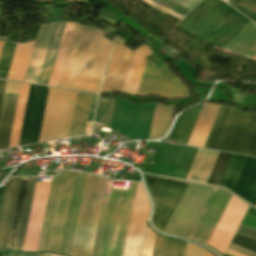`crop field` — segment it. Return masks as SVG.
Returning <instances> with one entry per match:
<instances>
[{
  "mask_svg": "<svg viewBox=\"0 0 256 256\" xmlns=\"http://www.w3.org/2000/svg\"><path fill=\"white\" fill-rule=\"evenodd\" d=\"M175 105H155L154 116L149 139H159L167 131Z\"/></svg>",
  "mask_w": 256,
  "mask_h": 256,
  "instance_id": "ae1a2a85",
  "label": "crop field"
},
{
  "mask_svg": "<svg viewBox=\"0 0 256 256\" xmlns=\"http://www.w3.org/2000/svg\"><path fill=\"white\" fill-rule=\"evenodd\" d=\"M3 179V172H0V181Z\"/></svg>",
  "mask_w": 256,
  "mask_h": 256,
  "instance_id": "0fb4a251",
  "label": "crop field"
},
{
  "mask_svg": "<svg viewBox=\"0 0 256 256\" xmlns=\"http://www.w3.org/2000/svg\"><path fill=\"white\" fill-rule=\"evenodd\" d=\"M75 175L61 171L52 180L38 251H61Z\"/></svg>",
  "mask_w": 256,
  "mask_h": 256,
  "instance_id": "412701ff",
  "label": "crop field"
},
{
  "mask_svg": "<svg viewBox=\"0 0 256 256\" xmlns=\"http://www.w3.org/2000/svg\"><path fill=\"white\" fill-rule=\"evenodd\" d=\"M36 178H29L14 250H22Z\"/></svg>",
  "mask_w": 256,
  "mask_h": 256,
  "instance_id": "750c4746",
  "label": "crop field"
},
{
  "mask_svg": "<svg viewBox=\"0 0 256 256\" xmlns=\"http://www.w3.org/2000/svg\"><path fill=\"white\" fill-rule=\"evenodd\" d=\"M132 52L118 44L114 45L100 93L121 92Z\"/></svg>",
  "mask_w": 256,
  "mask_h": 256,
  "instance_id": "d9b57169",
  "label": "crop field"
},
{
  "mask_svg": "<svg viewBox=\"0 0 256 256\" xmlns=\"http://www.w3.org/2000/svg\"><path fill=\"white\" fill-rule=\"evenodd\" d=\"M2 190H3V187L0 188V200H1Z\"/></svg>",
  "mask_w": 256,
  "mask_h": 256,
  "instance_id": "1d79db26",
  "label": "crop field"
},
{
  "mask_svg": "<svg viewBox=\"0 0 256 256\" xmlns=\"http://www.w3.org/2000/svg\"><path fill=\"white\" fill-rule=\"evenodd\" d=\"M17 44L3 42L0 52V78L6 79Z\"/></svg>",
  "mask_w": 256,
  "mask_h": 256,
  "instance_id": "028f5c9d",
  "label": "crop field"
},
{
  "mask_svg": "<svg viewBox=\"0 0 256 256\" xmlns=\"http://www.w3.org/2000/svg\"><path fill=\"white\" fill-rule=\"evenodd\" d=\"M112 45L99 30L76 24L57 87L98 93Z\"/></svg>",
  "mask_w": 256,
  "mask_h": 256,
  "instance_id": "8a807250",
  "label": "crop field"
},
{
  "mask_svg": "<svg viewBox=\"0 0 256 256\" xmlns=\"http://www.w3.org/2000/svg\"><path fill=\"white\" fill-rule=\"evenodd\" d=\"M227 254L232 255V256H242V255H239L237 253L231 252L229 250L227 251Z\"/></svg>",
  "mask_w": 256,
  "mask_h": 256,
  "instance_id": "dbb93151",
  "label": "crop field"
},
{
  "mask_svg": "<svg viewBox=\"0 0 256 256\" xmlns=\"http://www.w3.org/2000/svg\"><path fill=\"white\" fill-rule=\"evenodd\" d=\"M74 25L75 24H73V23L65 24V28L63 31V35L61 38V42L59 45V49L57 52V56L55 59V63H54L53 70H52L51 77H50L49 84H48L50 86H54V87L57 86V82H58L60 72H61V69L63 66V62L65 59V55H66L68 45H69V42L71 39V35H72L73 29H74Z\"/></svg>",
  "mask_w": 256,
  "mask_h": 256,
  "instance_id": "d3111659",
  "label": "crop field"
},
{
  "mask_svg": "<svg viewBox=\"0 0 256 256\" xmlns=\"http://www.w3.org/2000/svg\"><path fill=\"white\" fill-rule=\"evenodd\" d=\"M230 196L222 190L213 188L188 239L207 244Z\"/></svg>",
  "mask_w": 256,
  "mask_h": 256,
  "instance_id": "22f410ed",
  "label": "crop field"
},
{
  "mask_svg": "<svg viewBox=\"0 0 256 256\" xmlns=\"http://www.w3.org/2000/svg\"><path fill=\"white\" fill-rule=\"evenodd\" d=\"M154 2H156L157 4L185 17L189 12L190 10L180 6V5H177L169 0H152Z\"/></svg>",
  "mask_w": 256,
  "mask_h": 256,
  "instance_id": "b80d0937",
  "label": "crop field"
},
{
  "mask_svg": "<svg viewBox=\"0 0 256 256\" xmlns=\"http://www.w3.org/2000/svg\"><path fill=\"white\" fill-rule=\"evenodd\" d=\"M55 24L40 27L24 82L38 83Z\"/></svg>",
  "mask_w": 256,
  "mask_h": 256,
  "instance_id": "4a817a6b",
  "label": "crop field"
},
{
  "mask_svg": "<svg viewBox=\"0 0 256 256\" xmlns=\"http://www.w3.org/2000/svg\"><path fill=\"white\" fill-rule=\"evenodd\" d=\"M146 185L155 204L152 224L162 232L187 183L148 176Z\"/></svg>",
  "mask_w": 256,
  "mask_h": 256,
  "instance_id": "5a996713",
  "label": "crop field"
},
{
  "mask_svg": "<svg viewBox=\"0 0 256 256\" xmlns=\"http://www.w3.org/2000/svg\"><path fill=\"white\" fill-rule=\"evenodd\" d=\"M150 202L143 183H134L119 256H140Z\"/></svg>",
  "mask_w": 256,
  "mask_h": 256,
  "instance_id": "e52e79f7",
  "label": "crop field"
},
{
  "mask_svg": "<svg viewBox=\"0 0 256 256\" xmlns=\"http://www.w3.org/2000/svg\"><path fill=\"white\" fill-rule=\"evenodd\" d=\"M5 83H6V81L0 80V107H1L3 92H4V88H5Z\"/></svg>",
  "mask_w": 256,
  "mask_h": 256,
  "instance_id": "1f2cbd36",
  "label": "crop field"
},
{
  "mask_svg": "<svg viewBox=\"0 0 256 256\" xmlns=\"http://www.w3.org/2000/svg\"><path fill=\"white\" fill-rule=\"evenodd\" d=\"M232 243L256 252V242L245 237L236 234Z\"/></svg>",
  "mask_w": 256,
  "mask_h": 256,
  "instance_id": "03da06ac",
  "label": "crop field"
},
{
  "mask_svg": "<svg viewBox=\"0 0 256 256\" xmlns=\"http://www.w3.org/2000/svg\"><path fill=\"white\" fill-rule=\"evenodd\" d=\"M51 183H36L23 250L37 251Z\"/></svg>",
  "mask_w": 256,
  "mask_h": 256,
  "instance_id": "5142ce71",
  "label": "crop field"
},
{
  "mask_svg": "<svg viewBox=\"0 0 256 256\" xmlns=\"http://www.w3.org/2000/svg\"><path fill=\"white\" fill-rule=\"evenodd\" d=\"M230 95H231L232 101L238 102V103H241V104H244L247 97H248V95H246L242 92L234 91V90H231V89H230Z\"/></svg>",
  "mask_w": 256,
  "mask_h": 256,
  "instance_id": "d23c7cc5",
  "label": "crop field"
},
{
  "mask_svg": "<svg viewBox=\"0 0 256 256\" xmlns=\"http://www.w3.org/2000/svg\"><path fill=\"white\" fill-rule=\"evenodd\" d=\"M245 157L246 156L243 155H231L226 170L219 184L220 186L225 187L230 191H233Z\"/></svg>",
  "mask_w": 256,
  "mask_h": 256,
  "instance_id": "120bbe31",
  "label": "crop field"
},
{
  "mask_svg": "<svg viewBox=\"0 0 256 256\" xmlns=\"http://www.w3.org/2000/svg\"><path fill=\"white\" fill-rule=\"evenodd\" d=\"M48 255H56V256H61V255H57V254H48ZM41 256H47V255H41Z\"/></svg>",
  "mask_w": 256,
  "mask_h": 256,
  "instance_id": "9d1cf04e",
  "label": "crop field"
},
{
  "mask_svg": "<svg viewBox=\"0 0 256 256\" xmlns=\"http://www.w3.org/2000/svg\"><path fill=\"white\" fill-rule=\"evenodd\" d=\"M155 234L147 227L141 256H151Z\"/></svg>",
  "mask_w": 256,
  "mask_h": 256,
  "instance_id": "c21b1889",
  "label": "crop field"
},
{
  "mask_svg": "<svg viewBox=\"0 0 256 256\" xmlns=\"http://www.w3.org/2000/svg\"><path fill=\"white\" fill-rule=\"evenodd\" d=\"M85 176L86 175H81V174H77L76 176V181H75V186H74V191H73V196H72V201H71L62 251H61V253L63 254L70 255L71 253Z\"/></svg>",
  "mask_w": 256,
  "mask_h": 256,
  "instance_id": "214f88e0",
  "label": "crop field"
},
{
  "mask_svg": "<svg viewBox=\"0 0 256 256\" xmlns=\"http://www.w3.org/2000/svg\"><path fill=\"white\" fill-rule=\"evenodd\" d=\"M228 249L231 251L237 252L239 254L245 255V256H256V253L249 251L247 249H244L242 247H239L237 245H234L232 243L230 244Z\"/></svg>",
  "mask_w": 256,
  "mask_h": 256,
  "instance_id": "425ffa30",
  "label": "crop field"
},
{
  "mask_svg": "<svg viewBox=\"0 0 256 256\" xmlns=\"http://www.w3.org/2000/svg\"><path fill=\"white\" fill-rule=\"evenodd\" d=\"M65 23H57L38 84L47 85Z\"/></svg>",
  "mask_w": 256,
  "mask_h": 256,
  "instance_id": "1d83c4d3",
  "label": "crop field"
},
{
  "mask_svg": "<svg viewBox=\"0 0 256 256\" xmlns=\"http://www.w3.org/2000/svg\"><path fill=\"white\" fill-rule=\"evenodd\" d=\"M28 87H29V85L21 83L9 148L15 147L18 144V139H19L20 128H21V123H22V118H23V113H24V108H25V103H26Z\"/></svg>",
  "mask_w": 256,
  "mask_h": 256,
  "instance_id": "d32e631a",
  "label": "crop field"
},
{
  "mask_svg": "<svg viewBox=\"0 0 256 256\" xmlns=\"http://www.w3.org/2000/svg\"><path fill=\"white\" fill-rule=\"evenodd\" d=\"M237 10H239L241 13H243L244 15L252 19L254 22H256V13H252V12H248L240 9H237Z\"/></svg>",
  "mask_w": 256,
  "mask_h": 256,
  "instance_id": "89e229c0",
  "label": "crop field"
},
{
  "mask_svg": "<svg viewBox=\"0 0 256 256\" xmlns=\"http://www.w3.org/2000/svg\"><path fill=\"white\" fill-rule=\"evenodd\" d=\"M248 206L231 196L208 245L224 254Z\"/></svg>",
  "mask_w": 256,
  "mask_h": 256,
  "instance_id": "cbeb9de0",
  "label": "crop field"
},
{
  "mask_svg": "<svg viewBox=\"0 0 256 256\" xmlns=\"http://www.w3.org/2000/svg\"><path fill=\"white\" fill-rule=\"evenodd\" d=\"M131 187L129 191L113 189L99 256H118Z\"/></svg>",
  "mask_w": 256,
  "mask_h": 256,
  "instance_id": "3316defc",
  "label": "crop field"
},
{
  "mask_svg": "<svg viewBox=\"0 0 256 256\" xmlns=\"http://www.w3.org/2000/svg\"><path fill=\"white\" fill-rule=\"evenodd\" d=\"M203 148L256 157V114L221 106Z\"/></svg>",
  "mask_w": 256,
  "mask_h": 256,
  "instance_id": "34b2d1b8",
  "label": "crop field"
},
{
  "mask_svg": "<svg viewBox=\"0 0 256 256\" xmlns=\"http://www.w3.org/2000/svg\"><path fill=\"white\" fill-rule=\"evenodd\" d=\"M223 49L252 58L256 54V25L250 21Z\"/></svg>",
  "mask_w": 256,
  "mask_h": 256,
  "instance_id": "dafd665d",
  "label": "crop field"
},
{
  "mask_svg": "<svg viewBox=\"0 0 256 256\" xmlns=\"http://www.w3.org/2000/svg\"><path fill=\"white\" fill-rule=\"evenodd\" d=\"M190 10H192L201 0H171Z\"/></svg>",
  "mask_w": 256,
  "mask_h": 256,
  "instance_id": "25e5ab78",
  "label": "crop field"
},
{
  "mask_svg": "<svg viewBox=\"0 0 256 256\" xmlns=\"http://www.w3.org/2000/svg\"><path fill=\"white\" fill-rule=\"evenodd\" d=\"M91 97L90 94L78 92L69 137L84 135Z\"/></svg>",
  "mask_w": 256,
  "mask_h": 256,
  "instance_id": "730fd06b",
  "label": "crop field"
},
{
  "mask_svg": "<svg viewBox=\"0 0 256 256\" xmlns=\"http://www.w3.org/2000/svg\"><path fill=\"white\" fill-rule=\"evenodd\" d=\"M115 99L99 98L95 122L110 125Z\"/></svg>",
  "mask_w": 256,
  "mask_h": 256,
  "instance_id": "e1f06a70",
  "label": "crop field"
},
{
  "mask_svg": "<svg viewBox=\"0 0 256 256\" xmlns=\"http://www.w3.org/2000/svg\"><path fill=\"white\" fill-rule=\"evenodd\" d=\"M106 178L87 174L72 256H90Z\"/></svg>",
  "mask_w": 256,
  "mask_h": 256,
  "instance_id": "f4fd0767",
  "label": "crop field"
},
{
  "mask_svg": "<svg viewBox=\"0 0 256 256\" xmlns=\"http://www.w3.org/2000/svg\"><path fill=\"white\" fill-rule=\"evenodd\" d=\"M249 21L220 0H203L176 27L222 48Z\"/></svg>",
  "mask_w": 256,
  "mask_h": 256,
  "instance_id": "ac0d7876",
  "label": "crop field"
},
{
  "mask_svg": "<svg viewBox=\"0 0 256 256\" xmlns=\"http://www.w3.org/2000/svg\"><path fill=\"white\" fill-rule=\"evenodd\" d=\"M20 83L7 81L5 93L18 95ZM4 95L0 113V149L8 148L17 96Z\"/></svg>",
  "mask_w": 256,
  "mask_h": 256,
  "instance_id": "bc2a9ffb",
  "label": "crop field"
},
{
  "mask_svg": "<svg viewBox=\"0 0 256 256\" xmlns=\"http://www.w3.org/2000/svg\"><path fill=\"white\" fill-rule=\"evenodd\" d=\"M212 188L188 183L163 232L187 238Z\"/></svg>",
  "mask_w": 256,
  "mask_h": 256,
  "instance_id": "d8731c3e",
  "label": "crop field"
},
{
  "mask_svg": "<svg viewBox=\"0 0 256 256\" xmlns=\"http://www.w3.org/2000/svg\"><path fill=\"white\" fill-rule=\"evenodd\" d=\"M137 94H157L163 97L189 95L184 85L164 64L157 70L149 60L146 62Z\"/></svg>",
  "mask_w": 256,
  "mask_h": 256,
  "instance_id": "28ad6ade",
  "label": "crop field"
},
{
  "mask_svg": "<svg viewBox=\"0 0 256 256\" xmlns=\"http://www.w3.org/2000/svg\"><path fill=\"white\" fill-rule=\"evenodd\" d=\"M231 154L220 152L207 183L218 185Z\"/></svg>",
  "mask_w": 256,
  "mask_h": 256,
  "instance_id": "0bd39190",
  "label": "crop field"
},
{
  "mask_svg": "<svg viewBox=\"0 0 256 256\" xmlns=\"http://www.w3.org/2000/svg\"><path fill=\"white\" fill-rule=\"evenodd\" d=\"M76 94L50 88L39 142L68 137Z\"/></svg>",
  "mask_w": 256,
  "mask_h": 256,
  "instance_id": "dd49c442",
  "label": "crop field"
},
{
  "mask_svg": "<svg viewBox=\"0 0 256 256\" xmlns=\"http://www.w3.org/2000/svg\"><path fill=\"white\" fill-rule=\"evenodd\" d=\"M224 1H226V2H227V0H224Z\"/></svg>",
  "mask_w": 256,
  "mask_h": 256,
  "instance_id": "0765c3eb",
  "label": "crop field"
},
{
  "mask_svg": "<svg viewBox=\"0 0 256 256\" xmlns=\"http://www.w3.org/2000/svg\"><path fill=\"white\" fill-rule=\"evenodd\" d=\"M28 178H22L7 250H13Z\"/></svg>",
  "mask_w": 256,
  "mask_h": 256,
  "instance_id": "5866460e",
  "label": "crop field"
},
{
  "mask_svg": "<svg viewBox=\"0 0 256 256\" xmlns=\"http://www.w3.org/2000/svg\"><path fill=\"white\" fill-rule=\"evenodd\" d=\"M2 42H3V41H0V49H1V46H2Z\"/></svg>",
  "mask_w": 256,
  "mask_h": 256,
  "instance_id": "447ae74e",
  "label": "crop field"
},
{
  "mask_svg": "<svg viewBox=\"0 0 256 256\" xmlns=\"http://www.w3.org/2000/svg\"><path fill=\"white\" fill-rule=\"evenodd\" d=\"M237 234L256 241V231L245 226L240 225Z\"/></svg>",
  "mask_w": 256,
  "mask_h": 256,
  "instance_id": "5d738f31",
  "label": "crop field"
},
{
  "mask_svg": "<svg viewBox=\"0 0 256 256\" xmlns=\"http://www.w3.org/2000/svg\"><path fill=\"white\" fill-rule=\"evenodd\" d=\"M34 42L27 43L24 45H17L16 52L7 79L23 82L30 60V56L32 53V49L34 46Z\"/></svg>",
  "mask_w": 256,
  "mask_h": 256,
  "instance_id": "eef30255",
  "label": "crop field"
},
{
  "mask_svg": "<svg viewBox=\"0 0 256 256\" xmlns=\"http://www.w3.org/2000/svg\"><path fill=\"white\" fill-rule=\"evenodd\" d=\"M185 242L156 235L152 256H183Z\"/></svg>",
  "mask_w": 256,
  "mask_h": 256,
  "instance_id": "bd1437ed",
  "label": "crop field"
},
{
  "mask_svg": "<svg viewBox=\"0 0 256 256\" xmlns=\"http://www.w3.org/2000/svg\"><path fill=\"white\" fill-rule=\"evenodd\" d=\"M233 7L256 12V0H229Z\"/></svg>",
  "mask_w": 256,
  "mask_h": 256,
  "instance_id": "c035e120",
  "label": "crop field"
},
{
  "mask_svg": "<svg viewBox=\"0 0 256 256\" xmlns=\"http://www.w3.org/2000/svg\"><path fill=\"white\" fill-rule=\"evenodd\" d=\"M219 152L198 149L190 170L193 181L206 183Z\"/></svg>",
  "mask_w": 256,
  "mask_h": 256,
  "instance_id": "a9b5d70f",
  "label": "crop field"
},
{
  "mask_svg": "<svg viewBox=\"0 0 256 256\" xmlns=\"http://www.w3.org/2000/svg\"><path fill=\"white\" fill-rule=\"evenodd\" d=\"M233 193L256 205V159L246 157Z\"/></svg>",
  "mask_w": 256,
  "mask_h": 256,
  "instance_id": "92a150f3",
  "label": "crop field"
},
{
  "mask_svg": "<svg viewBox=\"0 0 256 256\" xmlns=\"http://www.w3.org/2000/svg\"><path fill=\"white\" fill-rule=\"evenodd\" d=\"M9 256H40V253L10 252Z\"/></svg>",
  "mask_w": 256,
  "mask_h": 256,
  "instance_id": "73cf0c24",
  "label": "crop field"
},
{
  "mask_svg": "<svg viewBox=\"0 0 256 256\" xmlns=\"http://www.w3.org/2000/svg\"><path fill=\"white\" fill-rule=\"evenodd\" d=\"M185 256H213V255L203 250L199 246L187 243Z\"/></svg>",
  "mask_w": 256,
  "mask_h": 256,
  "instance_id": "b54c1fbb",
  "label": "crop field"
},
{
  "mask_svg": "<svg viewBox=\"0 0 256 256\" xmlns=\"http://www.w3.org/2000/svg\"><path fill=\"white\" fill-rule=\"evenodd\" d=\"M21 178L4 185L0 206V250H6Z\"/></svg>",
  "mask_w": 256,
  "mask_h": 256,
  "instance_id": "733c2abd",
  "label": "crop field"
},
{
  "mask_svg": "<svg viewBox=\"0 0 256 256\" xmlns=\"http://www.w3.org/2000/svg\"><path fill=\"white\" fill-rule=\"evenodd\" d=\"M200 111L187 110L176 121L172 131L166 138L168 141L179 142V144L186 145L196 119Z\"/></svg>",
  "mask_w": 256,
  "mask_h": 256,
  "instance_id": "4177f3b9",
  "label": "crop field"
},
{
  "mask_svg": "<svg viewBox=\"0 0 256 256\" xmlns=\"http://www.w3.org/2000/svg\"><path fill=\"white\" fill-rule=\"evenodd\" d=\"M48 90L30 85L18 146L38 142Z\"/></svg>",
  "mask_w": 256,
  "mask_h": 256,
  "instance_id": "d1516ede",
  "label": "crop field"
},
{
  "mask_svg": "<svg viewBox=\"0 0 256 256\" xmlns=\"http://www.w3.org/2000/svg\"><path fill=\"white\" fill-rule=\"evenodd\" d=\"M219 107L204 103L187 145L203 147Z\"/></svg>",
  "mask_w": 256,
  "mask_h": 256,
  "instance_id": "00972430",
  "label": "crop field"
}]
</instances>
